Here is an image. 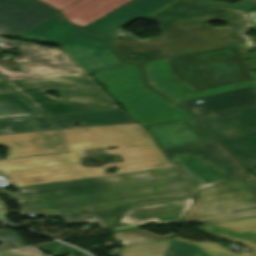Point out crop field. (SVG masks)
<instances>
[{
    "label": "crop field",
    "mask_w": 256,
    "mask_h": 256,
    "mask_svg": "<svg viewBox=\"0 0 256 256\" xmlns=\"http://www.w3.org/2000/svg\"><path fill=\"white\" fill-rule=\"evenodd\" d=\"M103 151L124 162L82 167L83 152L0 160V172L22 191L6 192L23 204L186 181L155 145ZM109 167L119 170L106 173Z\"/></svg>",
    "instance_id": "crop-field-1"
},
{
    "label": "crop field",
    "mask_w": 256,
    "mask_h": 256,
    "mask_svg": "<svg viewBox=\"0 0 256 256\" xmlns=\"http://www.w3.org/2000/svg\"><path fill=\"white\" fill-rule=\"evenodd\" d=\"M144 18L159 21L162 36L140 40L122 29L112 34V47L124 62L250 41L246 33L253 27L244 11L191 0H176ZM213 20L228 26L212 28L207 22Z\"/></svg>",
    "instance_id": "crop-field-2"
},
{
    "label": "crop field",
    "mask_w": 256,
    "mask_h": 256,
    "mask_svg": "<svg viewBox=\"0 0 256 256\" xmlns=\"http://www.w3.org/2000/svg\"><path fill=\"white\" fill-rule=\"evenodd\" d=\"M146 83L174 103L245 86L256 89L235 46L153 60L143 65Z\"/></svg>",
    "instance_id": "crop-field-3"
},
{
    "label": "crop field",
    "mask_w": 256,
    "mask_h": 256,
    "mask_svg": "<svg viewBox=\"0 0 256 256\" xmlns=\"http://www.w3.org/2000/svg\"><path fill=\"white\" fill-rule=\"evenodd\" d=\"M45 116L119 109L89 74L6 82ZM59 91L56 99L46 92Z\"/></svg>",
    "instance_id": "crop-field-4"
},
{
    "label": "crop field",
    "mask_w": 256,
    "mask_h": 256,
    "mask_svg": "<svg viewBox=\"0 0 256 256\" xmlns=\"http://www.w3.org/2000/svg\"><path fill=\"white\" fill-rule=\"evenodd\" d=\"M117 102L141 124H152L191 116L145 86L139 65L95 72Z\"/></svg>",
    "instance_id": "crop-field-5"
},
{
    "label": "crop field",
    "mask_w": 256,
    "mask_h": 256,
    "mask_svg": "<svg viewBox=\"0 0 256 256\" xmlns=\"http://www.w3.org/2000/svg\"><path fill=\"white\" fill-rule=\"evenodd\" d=\"M197 191L188 183H177L104 194L74 197L21 205V215L42 216L97 211L128 205L195 197Z\"/></svg>",
    "instance_id": "crop-field-6"
},
{
    "label": "crop field",
    "mask_w": 256,
    "mask_h": 256,
    "mask_svg": "<svg viewBox=\"0 0 256 256\" xmlns=\"http://www.w3.org/2000/svg\"><path fill=\"white\" fill-rule=\"evenodd\" d=\"M22 38L59 44L87 73L124 65L108 47V37L62 20L60 14L20 34Z\"/></svg>",
    "instance_id": "crop-field-7"
},
{
    "label": "crop field",
    "mask_w": 256,
    "mask_h": 256,
    "mask_svg": "<svg viewBox=\"0 0 256 256\" xmlns=\"http://www.w3.org/2000/svg\"><path fill=\"white\" fill-rule=\"evenodd\" d=\"M161 151L199 191L246 172L215 140Z\"/></svg>",
    "instance_id": "crop-field-8"
},
{
    "label": "crop field",
    "mask_w": 256,
    "mask_h": 256,
    "mask_svg": "<svg viewBox=\"0 0 256 256\" xmlns=\"http://www.w3.org/2000/svg\"><path fill=\"white\" fill-rule=\"evenodd\" d=\"M196 118L246 167L256 168V106Z\"/></svg>",
    "instance_id": "crop-field-9"
},
{
    "label": "crop field",
    "mask_w": 256,
    "mask_h": 256,
    "mask_svg": "<svg viewBox=\"0 0 256 256\" xmlns=\"http://www.w3.org/2000/svg\"><path fill=\"white\" fill-rule=\"evenodd\" d=\"M256 209V177L246 173L199 193L184 221Z\"/></svg>",
    "instance_id": "crop-field-10"
},
{
    "label": "crop field",
    "mask_w": 256,
    "mask_h": 256,
    "mask_svg": "<svg viewBox=\"0 0 256 256\" xmlns=\"http://www.w3.org/2000/svg\"><path fill=\"white\" fill-rule=\"evenodd\" d=\"M6 56L16 61L25 72L18 73L0 66V77L4 81L86 73L61 48L48 49L25 42L20 57Z\"/></svg>",
    "instance_id": "crop-field-11"
},
{
    "label": "crop field",
    "mask_w": 256,
    "mask_h": 256,
    "mask_svg": "<svg viewBox=\"0 0 256 256\" xmlns=\"http://www.w3.org/2000/svg\"><path fill=\"white\" fill-rule=\"evenodd\" d=\"M60 131L69 152L154 144L138 123Z\"/></svg>",
    "instance_id": "crop-field-12"
},
{
    "label": "crop field",
    "mask_w": 256,
    "mask_h": 256,
    "mask_svg": "<svg viewBox=\"0 0 256 256\" xmlns=\"http://www.w3.org/2000/svg\"><path fill=\"white\" fill-rule=\"evenodd\" d=\"M56 12L36 0H0V35L19 34Z\"/></svg>",
    "instance_id": "crop-field-13"
},
{
    "label": "crop field",
    "mask_w": 256,
    "mask_h": 256,
    "mask_svg": "<svg viewBox=\"0 0 256 256\" xmlns=\"http://www.w3.org/2000/svg\"><path fill=\"white\" fill-rule=\"evenodd\" d=\"M7 157L66 151L58 130L0 135Z\"/></svg>",
    "instance_id": "crop-field-14"
},
{
    "label": "crop field",
    "mask_w": 256,
    "mask_h": 256,
    "mask_svg": "<svg viewBox=\"0 0 256 256\" xmlns=\"http://www.w3.org/2000/svg\"><path fill=\"white\" fill-rule=\"evenodd\" d=\"M160 149L196 143L213 138L193 118L144 127Z\"/></svg>",
    "instance_id": "crop-field-15"
},
{
    "label": "crop field",
    "mask_w": 256,
    "mask_h": 256,
    "mask_svg": "<svg viewBox=\"0 0 256 256\" xmlns=\"http://www.w3.org/2000/svg\"><path fill=\"white\" fill-rule=\"evenodd\" d=\"M194 199L160 203L128 208L123 219L115 227L145 224L154 221L158 224L182 221Z\"/></svg>",
    "instance_id": "crop-field-16"
},
{
    "label": "crop field",
    "mask_w": 256,
    "mask_h": 256,
    "mask_svg": "<svg viewBox=\"0 0 256 256\" xmlns=\"http://www.w3.org/2000/svg\"><path fill=\"white\" fill-rule=\"evenodd\" d=\"M57 9L69 22L84 26L131 0H41Z\"/></svg>",
    "instance_id": "crop-field-17"
},
{
    "label": "crop field",
    "mask_w": 256,
    "mask_h": 256,
    "mask_svg": "<svg viewBox=\"0 0 256 256\" xmlns=\"http://www.w3.org/2000/svg\"><path fill=\"white\" fill-rule=\"evenodd\" d=\"M173 0H135L85 28L110 35Z\"/></svg>",
    "instance_id": "crop-field-18"
},
{
    "label": "crop field",
    "mask_w": 256,
    "mask_h": 256,
    "mask_svg": "<svg viewBox=\"0 0 256 256\" xmlns=\"http://www.w3.org/2000/svg\"><path fill=\"white\" fill-rule=\"evenodd\" d=\"M198 100H202L204 102L196 104L195 101ZM177 104L187 108L194 115L223 111L256 105V90L252 87H245L223 93L204 96ZM199 109L202 110L201 113H197L195 111Z\"/></svg>",
    "instance_id": "crop-field-19"
},
{
    "label": "crop field",
    "mask_w": 256,
    "mask_h": 256,
    "mask_svg": "<svg viewBox=\"0 0 256 256\" xmlns=\"http://www.w3.org/2000/svg\"><path fill=\"white\" fill-rule=\"evenodd\" d=\"M199 230L229 241H235L252 249L249 255L256 256V217L206 225Z\"/></svg>",
    "instance_id": "crop-field-20"
},
{
    "label": "crop field",
    "mask_w": 256,
    "mask_h": 256,
    "mask_svg": "<svg viewBox=\"0 0 256 256\" xmlns=\"http://www.w3.org/2000/svg\"><path fill=\"white\" fill-rule=\"evenodd\" d=\"M59 128L74 127L73 123L81 122V126L135 121L123 110L92 112L72 115L47 117Z\"/></svg>",
    "instance_id": "crop-field-21"
},
{
    "label": "crop field",
    "mask_w": 256,
    "mask_h": 256,
    "mask_svg": "<svg viewBox=\"0 0 256 256\" xmlns=\"http://www.w3.org/2000/svg\"><path fill=\"white\" fill-rule=\"evenodd\" d=\"M42 116L15 92L0 94V120Z\"/></svg>",
    "instance_id": "crop-field-22"
},
{
    "label": "crop field",
    "mask_w": 256,
    "mask_h": 256,
    "mask_svg": "<svg viewBox=\"0 0 256 256\" xmlns=\"http://www.w3.org/2000/svg\"><path fill=\"white\" fill-rule=\"evenodd\" d=\"M124 209L100 211V212H91L76 214L70 216H63L60 219L65 220L66 224L79 223L88 221L89 224L98 223L102 228H113L120 217L125 212ZM64 225V224H63Z\"/></svg>",
    "instance_id": "crop-field-23"
},
{
    "label": "crop field",
    "mask_w": 256,
    "mask_h": 256,
    "mask_svg": "<svg viewBox=\"0 0 256 256\" xmlns=\"http://www.w3.org/2000/svg\"><path fill=\"white\" fill-rule=\"evenodd\" d=\"M56 128L44 117L0 121V134Z\"/></svg>",
    "instance_id": "crop-field-24"
},
{
    "label": "crop field",
    "mask_w": 256,
    "mask_h": 256,
    "mask_svg": "<svg viewBox=\"0 0 256 256\" xmlns=\"http://www.w3.org/2000/svg\"><path fill=\"white\" fill-rule=\"evenodd\" d=\"M171 239L123 247L119 256H163Z\"/></svg>",
    "instance_id": "crop-field-25"
},
{
    "label": "crop field",
    "mask_w": 256,
    "mask_h": 256,
    "mask_svg": "<svg viewBox=\"0 0 256 256\" xmlns=\"http://www.w3.org/2000/svg\"><path fill=\"white\" fill-rule=\"evenodd\" d=\"M173 235L174 234H166V235L159 236L157 234L144 231L142 229L119 232V233L113 234V236L116 239H120L123 242L122 246L172 238Z\"/></svg>",
    "instance_id": "crop-field-26"
},
{
    "label": "crop field",
    "mask_w": 256,
    "mask_h": 256,
    "mask_svg": "<svg viewBox=\"0 0 256 256\" xmlns=\"http://www.w3.org/2000/svg\"><path fill=\"white\" fill-rule=\"evenodd\" d=\"M164 256H209L200 248L172 240Z\"/></svg>",
    "instance_id": "crop-field-27"
},
{
    "label": "crop field",
    "mask_w": 256,
    "mask_h": 256,
    "mask_svg": "<svg viewBox=\"0 0 256 256\" xmlns=\"http://www.w3.org/2000/svg\"><path fill=\"white\" fill-rule=\"evenodd\" d=\"M173 239L195 244V245L199 246L201 249H203L210 256H231L234 254V253L230 252L229 250L223 248L222 246L214 244V243H210V242L196 243V242H192V241H188V240H184V239H180V238H176V237H173Z\"/></svg>",
    "instance_id": "crop-field-28"
},
{
    "label": "crop field",
    "mask_w": 256,
    "mask_h": 256,
    "mask_svg": "<svg viewBox=\"0 0 256 256\" xmlns=\"http://www.w3.org/2000/svg\"><path fill=\"white\" fill-rule=\"evenodd\" d=\"M0 240L3 241L0 250L26 246L19 235L13 231L0 230Z\"/></svg>",
    "instance_id": "crop-field-29"
},
{
    "label": "crop field",
    "mask_w": 256,
    "mask_h": 256,
    "mask_svg": "<svg viewBox=\"0 0 256 256\" xmlns=\"http://www.w3.org/2000/svg\"><path fill=\"white\" fill-rule=\"evenodd\" d=\"M42 252L32 246L0 251V256H42ZM43 256H46L43 255Z\"/></svg>",
    "instance_id": "crop-field-30"
},
{
    "label": "crop field",
    "mask_w": 256,
    "mask_h": 256,
    "mask_svg": "<svg viewBox=\"0 0 256 256\" xmlns=\"http://www.w3.org/2000/svg\"><path fill=\"white\" fill-rule=\"evenodd\" d=\"M200 1H205V2H209V3L219 4V5L233 7V8L242 9V10H248V9L256 6V1H249V0H243L235 5L220 2V1H215V0H200Z\"/></svg>",
    "instance_id": "crop-field-31"
},
{
    "label": "crop field",
    "mask_w": 256,
    "mask_h": 256,
    "mask_svg": "<svg viewBox=\"0 0 256 256\" xmlns=\"http://www.w3.org/2000/svg\"><path fill=\"white\" fill-rule=\"evenodd\" d=\"M254 215H256V211L249 212V213H243V214H237V215H231V216H225V217H219V218H213V219H207V220H201V221H197V222H199L201 224H205V223L224 221V220H230V219H236V218H242V217H248V216H254Z\"/></svg>",
    "instance_id": "crop-field-32"
},
{
    "label": "crop field",
    "mask_w": 256,
    "mask_h": 256,
    "mask_svg": "<svg viewBox=\"0 0 256 256\" xmlns=\"http://www.w3.org/2000/svg\"><path fill=\"white\" fill-rule=\"evenodd\" d=\"M236 45H237V47H238V49L240 50L241 53L246 52L250 48H255L252 43H249L247 41L240 42Z\"/></svg>",
    "instance_id": "crop-field-33"
},
{
    "label": "crop field",
    "mask_w": 256,
    "mask_h": 256,
    "mask_svg": "<svg viewBox=\"0 0 256 256\" xmlns=\"http://www.w3.org/2000/svg\"><path fill=\"white\" fill-rule=\"evenodd\" d=\"M243 57L250 59L251 61L248 64V66L255 67L256 68V51L253 54H242Z\"/></svg>",
    "instance_id": "crop-field-34"
},
{
    "label": "crop field",
    "mask_w": 256,
    "mask_h": 256,
    "mask_svg": "<svg viewBox=\"0 0 256 256\" xmlns=\"http://www.w3.org/2000/svg\"><path fill=\"white\" fill-rule=\"evenodd\" d=\"M0 40L7 41L8 44L13 45V46H19V47H20L19 52L21 51V48H22L23 43H24V42H19V41L5 40V39H3V38H1V37H0Z\"/></svg>",
    "instance_id": "crop-field-35"
},
{
    "label": "crop field",
    "mask_w": 256,
    "mask_h": 256,
    "mask_svg": "<svg viewBox=\"0 0 256 256\" xmlns=\"http://www.w3.org/2000/svg\"><path fill=\"white\" fill-rule=\"evenodd\" d=\"M253 26L256 28V12H247Z\"/></svg>",
    "instance_id": "crop-field-36"
},
{
    "label": "crop field",
    "mask_w": 256,
    "mask_h": 256,
    "mask_svg": "<svg viewBox=\"0 0 256 256\" xmlns=\"http://www.w3.org/2000/svg\"><path fill=\"white\" fill-rule=\"evenodd\" d=\"M12 89L7 86L4 82H0V92L1 91H11Z\"/></svg>",
    "instance_id": "crop-field-37"
},
{
    "label": "crop field",
    "mask_w": 256,
    "mask_h": 256,
    "mask_svg": "<svg viewBox=\"0 0 256 256\" xmlns=\"http://www.w3.org/2000/svg\"><path fill=\"white\" fill-rule=\"evenodd\" d=\"M131 229H138V226L115 229V230H112V232L115 233V232H119V231L131 230Z\"/></svg>",
    "instance_id": "crop-field-38"
},
{
    "label": "crop field",
    "mask_w": 256,
    "mask_h": 256,
    "mask_svg": "<svg viewBox=\"0 0 256 256\" xmlns=\"http://www.w3.org/2000/svg\"><path fill=\"white\" fill-rule=\"evenodd\" d=\"M2 208H3L4 210H3V211L0 210V218L3 219V220H5L4 217L6 216L5 214H6L7 211L5 210V207H2ZM0 209H1V208H0ZM5 221H7V220H5Z\"/></svg>",
    "instance_id": "crop-field-39"
},
{
    "label": "crop field",
    "mask_w": 256,
    "mask_h": 256,
    "mask_svg": "<svg viewBox=\"0 0 256 256\" xmlns=\"http://www.w3.org/2000/svg\"><path fill=\"white\" fill-rule=\"evenodd\" d=\"M235 256H247V255H245V254H241V255H235Z\"/></svg>",
    "instance_id": "crop-field-40"
},
{
    "label": "crop field",
    "mask_w": 256,
    "mask_h": 256,
    "mask_svg": "<svg viewBox=\"0 0 256 256\" xmlns=\"http://www.w3.org/2000/svg\"><path fill=\"white\" fill-rule=\"evenodd\" d=\"M252 172H254L256 174V169L252 170Z\"/></svg>",
    "instance_id": "crop-field-41"
},
{
    "label": "crop field",
    "mask_w": 256,
    "mask_h": 256,
    "mask_svg": "<svg viewBox=\"0 0 256 256\" xmlns=\"http://www.w3.org/2000/svg\"><path fill=\"white\" fill-rule=\"evenodd\" d=\"M69 256H73V255L71 254V255H69Z\"/></svg>",
    "instance_id": "crop-field-42"
},
{
    "label": "crop field",
    "mask_w": 256,
    "mask_h": 256,
    "mask_svg": "<svg viewBox=\"0 0 256 256\" xmlns=\"http://www.w3.org/2000/svg\"><path fill=\"white\" fill-rule=\"evenodd\" d=\"M5 51H8V50H5Z\"/></svg>",
    "instance_id": "crop-field-43"
}]
</instances>
